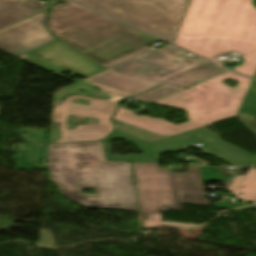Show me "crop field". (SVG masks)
<instances>
[{
    "label": "crop field",
    "mask_w": 256,
    "mask_h": 256,
    "mask_svg": "<svg viewBox=\"0 0 256 256\" xmlns=\"http://www.w3.org/2000/svg\"><path fill=\"white\" fill-rule=\"evenodd\" d=\"M186 52L165 45L154 51L144 47L103 65L108 70L84 81L124 99L164 84L132 99L151 103L179 89L191 86L226 70L199 57L188 58ZM74 98L90 100L91 106L73 103ZM119 103L71 96L54 108L53 121L61 122L62 138L57 142L101 140L113 130L111 116ZM99 119L96 125H78L67 130V116Z\"/></svg>",
    "instance_id": "obj_1"
},
{
    "label": "crop field",
    "mask_w": 256,
    "mask_h": 256,
    "mask_svg": "<svg viewBox=\"0 0 256 256\" xmlns=\"http://www.w3.org/2000/svg\"><path fill=\"white\" fill-rule=\"evenodd\" d=\"M48 160L51 181L80 206L138 211L130 163L106 162L102 142L50 145Z\"/></svg>",
    "instance_id": "obj_2"
},
{
    "label": "crop field",
    "mask_w": 256,
    "mask_h": 256,
    "mask_svg": "<svg viewBox=\"0 0 256 256\" xmlns=\"http://www.w3.org/2000/svg\"><path fill=\"white\" fill-rule=\"evenodd\" d=\"M174 44L215 62L221 54L236 52L246 60L233 70L252 77L256 9L251 0H192Z\"/></svg>",
    "instance_id": "obj_3"
},
{
    "label": "crop field",
    "mask_w": 256,
    "mask_h": 256,
    "mask_svg": "<svg viewBox=\"0 0 256 256\" xmlns=\"http://www.w3.org/2000/svg\"><path fill=\"white\" fill-rule=\"evenodd\" d=\"M230 79L239 82L236 88L222 84ZM251 79L243 78L231 71L203 83L164 98L157 105L170 106L187 111L189 122L181 125L162 121L158 118L136 116L132 111L119 107L114 119L160 134H178L194 128L235 117L245 97Z\"/></svg>",
    "instance_id": "obj_4"
},
{
    "label": "crop field",
    "mask_w": 256,
    "mask_h": 256,
    "mask_svg": "<svg viewBox=\"0 0 256 256\" xmlns=\"http://www.w3.org/2000/svg\"><path fill=\"white\" fill-rule=\"evenodd\" d=\"M47 27L101 65L159 41L69 1L52 6Z\"/></svg>",
    "instance_id": "obj_5"
},
{
    "label": "crop field",
    "mask_w": 256,
    "mask_h": 256,
    "mask_svg": "<svg viewBox=\"0 0 256 256\" xmlns=\"http://www.w3.org/2000/svg\"><path fill=\"white\" fill-rule=\"evenodd\" d=\"M140 211L147 216L143 228L161 225L194 227L196 225L162 221L160 212L181 209V203L208 206L201 180L228 181L233 175L221 174L222 168L189 166L186 173L167 172L158 164L132 163Z\"/></svg>",
    "instance_id": "obj_6"
},
{
    "label": "crop field",
    "mask_w": 256,
    "mask_h": 256,
    "mask_svg": "<svg viewBox=\"0 0 256 256\" xmlns=\"http://www.w3.org/2000/svg\"><path fill=\"white\" fill-rule=\"evenodd\" d=\"M171 43L189 0H74Z\"/></svg>",
    "instance_id": "obj_7"
},
{
    "label": "crop field",
    "mask_w": 256,
    "mask_h": 256,
    "mask_svg": "<svg viewBox=\"0 0 256 256\" xmlns=\"http://www.w3.org/2000/svg\"><path fill=\"white\" fill-rule=\"evenodd\" d=\"M118 136L137 145L144 155H129L127 157L111 156L108 140ZM219 135L205 129L198 128L170 138L148 143L120 130L115 131L104 140L108 160L157 163L158 153L184 149L183 145L200 142L204 144L200 149L232 164L240 166L256 165V156H251L219 139Z\"/></svg>",
    "instance_id": "obj_8"
},
{
    "label": "crop field",
    "mask_w": 256,
    "mask_h": 256,
    "mask_svg": "<svg viewBox=\"0 0 256 256\" xmlns=\"http://www.w3.org/2000/svg\"><path fill=\"white\" fill-rule=\"evenodd\" d=\"M21 60L56 76L68 71L88 78L105 71L59 40L22 56Z\"/></svg>",
    "instance_id": "obj_9"
},
{
    "label": "crop field",
    "mask_w": 256,
    "mask_h": 256,
    "mask_svg": "<svg viewBox=\"0 0 256 256\" xmlns=\"http://www.w3.org/2000/svg\"><path fill=\"white\" fill-rule=\"evenodd\" d=\"M47 11H42L0 30V50L20 59L24 54L55 40L46 28Z\"/></svg>",
    "instance_id": "obj_10"
},
{
    "label": "crop field",
    "mask_w": 256,
    "mask_h": 256,
    "mask_svg": "<svg viewBox=\"0 0 256 256\" xmlns=\"http://www.w3.org/2000/svg\"><path fill=\"white\" fill-rule=\"evenodd\" d=\"M40 0H0V27L45 8Z\"/></svg>",
    "instance_id": "obj_11"
},
{
    "label": "crop field",
    "mask_w": 256,
    "mask_h": 256,
    "mask_svg": "<svg viewBox=\"0 0 256 256\" xmlns=\"http://www.w3.org/2000/svg\"><path fill=\"white\" fill-rule=\"evenodd\" d=\"M35 147V148H34ZM48 145L19 144L17 155V169H46ZM38 153V155H35ZM40 160H43L40 165ZM36 163V165H34Z\"/></svg>",
    "instance_id": "obj_12"
},
{
    "label": "crop field",
    "mask_w": 256,
    "mask_h": 256,
    "mask_svg": "<svg viewBox=\"0 0 256 256\" xmlns=\"http://www.w3.org/2000/svg\"><path fill=\"white\" fill-rule=\"evenodd\" d=\"M227 190L240 200L256 202V167L250 168L245 176L236 175Z\"/></svg>",
    "instance_id": "obj_13"
},
{
    "label": "crop field",
    "mask_w": 256,
    "mask_h": 256,
    "mask_svg": "<svg viewBox=\"0 0 256 256\" xmlns=\"http://www.w3.org/2000/svg\"><path fill=\"white\" fill-rule=\"evenodd\" d=\"M239 111L256 115V81L255 80L252 81L250 88L246 94V97Z\"/></svg>",
    "instance_id": "obj_14"
},
{
    "label": "crop field",
    "mask_w": 256,
    "mask_h": 256,
    "mask_svg": "<svg viewBox=\"0 0 256 256\" xmlns=\"http://www.w3.org/2000/svg\"><path fill=\"white\" fill-rule=\"evenodd\" d=\"M190 1H191V0H190ZM190 1H189L188 5H187V8H186V10H185V13H184V15H183V17H182V20H181V22H180V25H179V27H178V29H177V32H176V34H175V37H174V39H173V41H172V44H173L174 41H175V38H176V36H177V33H178V31H179V28H180V26H181V23H182V21H183V18H184L185 14H186V11H187V9H188V6H189V4H190ZM252 4H253V6L256 8V0H253V1H252Z\"/></svg>",
    "instance_id": "obj_15"
},
{
    "label": "crop field",
    "mask_w": 256,
    "mask_h": 256,
    "mask_svg": "<svg viewBox=\"0 0 256 256\" xmlns=\"http://www.w3.org/2000/svg\"><path fill=\"white\" fill-rule=\"evenodd\" d=\"M111 94V93H110ZM113 95V94H112ZM115 96V95H114ZM116 97H118V96H116ZM122 98H120V97H118V98H116V99H114V100H112V101H116V102H118V101H120Z\"/></svg>",
    "instance_id": "obj_16"
},
{
    "label": "crop field",
    "mask_w": 256,
    "mask_h": 256,
    "mask_svg": "<svg viewBox=\"0 0 256 256\" xmlns=\"http://www.w3.org/2000/svg\"><path fill=\"white\" fill-rule=\"evenodd\" d=\"M254 78H256V73H255V75H254Z\"/></svg>",
    "instance_id": "obj_17"
}]
</instances>
